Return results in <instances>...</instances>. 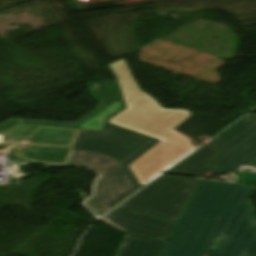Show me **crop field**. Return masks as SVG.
<instances>
[{"label": "crop field", "instance_id": "obj_11", "mask_svg": "<svg viewBox=\"0 0 256 256\" xmlns=\"http://www.w3.org/2000/svg\"><path fill=\"white\" fill-rule=\"evenodd\" d=\"M121 108H123V106L120 100L118 99L115 103L110 105L103 112L96 114L88 121L82 123L79 129L102 131L105 125V120Z\"/></svg>", "mask_w": 256, "mask_h": 256}, {"label": "crop field", "instance_id": "obj_7", "mask_svg": "<svg viewBox=\"0 0 256 256\" xmlns=\"http://www.w3.org/2000/svg\"><path fill=\"white\" fill-rule=\"evenodd\" d=\"M100 221L122 231L167 240L175 222L116 208Z\"/></svg>", "mask_w": 256, "mask_h": 256}, {"label": "crop field", "instance_id": "obj_1", "mask_svg": "<svg viewBox=\"0 0 256 256\" xmlns=\"http://www.w3.org/2000/svg\"><path fill=\"white\" fill-rule=\"evenodd\" d=\"M253 192L251 186L202 180L161 256H256Z\"/></svg>", "mask_w": 256, "mask_h": 256}, {"label": "crop field", "instance_id": "obj_5", "mask_svg": "<svg viewBox=\"0 0 256 256\" xmlns=\"http://www.w3.org/2000/svg\"><path fill=\"white\" fill-rule=\"evenodd\" d=\"M198 182L162 176L120 207L177 222Z\"/></svg>", "mask_w": 256, "mask_h": 256}, {"label": "crop field", "instance_id": "obj_6", "mask_svg": "<svg viewBox=\"0 0 256 256\" xmlns=\"http://www.w3.org/2000/svg\"><path fill=\"white\" fill-rule=\"evenodd\" d=\"M222 155L208 170L256 173V115H247L218 137Z\"/></svg>", "mask_w": 256, "mask_h": 256}, {"label": "crop field", "instance_id": "obj_8", "mask_svg": "<svg viewBox=\"0 0 256 256\" xmlns=\"http://www.w3.org/2000/svg\"><path fill=\"white\" fill-rule=\"evenodd\" d=\"M218 154L219 151L213 139L180 165L168 171V174L201 178L210 161Z\"/></svg>", "mask_w": 256, "mask_h": 256}, {"label": "crop field", "instance_id": "obj_10", "mask_svg": "<svg viewBox=\"0 0 256 256\" xmlns=\"http://www.w3.org/2000/svg\"><path fill=\"white\" fill-rule=\"evenodd\" d=\"M164 241L127 235L116 256H158Z\"/></svg>", "mask_w": 256, "mask_h": 256}, {"label": "crop field", "instance_id": "obj_9", "mask_svg": "<svg viewBox=\"0 0 256 256\" xmlns=\"http://www.w3.org/2000/svg\"><path fill=\"white\" fill-rule=\"evenodd\" d=\"M88 88H89V95L94 97L98 102V109L92 112L91 114L81 118L78 122H75V123H61V122H47V121H23V122H26L28 124H40V125L58 126V127H65V128H78L82 121L89 118L90 116L97 113L98 111L102 110L107 104L111 103L110 98L115 101L119 98L112 82L98 83L96 85L94 83H88ZM98 90L102 91V93L99 94ZM100 101H103V103H100Z\"/></svg>", "mask_w": 256, "mask_h": 256}, {"label": "crop field", "instance_id": "obj_2", "mask_svg": "<svg viewBox=\"0 0 256 256\" xmlns=\"http://www.w3.org/2000/svg\"><path fill=\"white\" fill-rule=\"evenodd\" d=\"M110 67L116 73L127 108L109 123L160 141L128 166L144 186L182 159L179 155L192 146L186 136L173 130L191 114L189 111L164 109L141 92L124 59Z\"/></svg>", "mask_w": 256, "mask_h": 256}, {"label": "crop field", "instance_id": "obj_4", "mask_svg": "<svg viewBox=\"0 0 256 256\" xmlns=\"http://www.w3.org/2000/svg\"><path fill=\"white\" fill-rule=\"evenodd\" d=\"M68 162L81 164L103 175L95 185L94 196L85 202L96 215H103L140 188L127 166L118 160L93 152L73 151Z\"/></svg>", "mask_w": 256, "mask_h": 256}, {"label": "crop field", "instance_id": "obj_3", "mask_svg": "<svg viewBox=\"0 0 256 256\" xmlns=\"http://www.w3.org/2000/svg\"><path fill=\"white\" fill-rule=\"evenodd\" d=\"M2 142L17 143L13 157L66 165L72 150L95 151L131 163L156 141L106 124L103 132L22 124L10 118L0 125ZM28 145V146H25Z\"/></svg>", "mask_w": 256, "mask_h": 256}]
</instances>
